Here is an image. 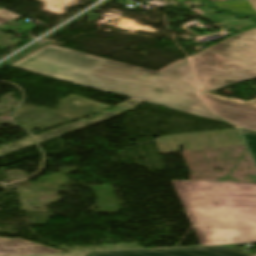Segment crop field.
Listing matches in <instances>:
<instances>
[{"label":"crop field","mask_w":256,"mask_h":256,"mask_svg":"<svg viewBox=\"0 0 256 256\" xmlns=\"http://www.w3.org/2000/svg\"><path fill=\"white\" fill-rule=\"evenodd\" d=\"M11 66L225 122L199 97L187 58L155 72L61 47L46 46Z\"/></svg>","instance_id":"8a807250"},{"label":"crop field","mask_w":256,"mask_h":256,"mask_svg":"<svg viewBox=\"0 0 256 256\" xmlns=\"http://www.w3.org/2000/svg\"><path fill=\"white\" fill-rule=\"evenodd\" d=\"M172 183L203 246L256 243V183Z\"/></svg>","instance_id":"ac0d7876"},{"label":"crop field","mask_w":256,"mask_h":256,"mask_svg":"<svg viewBox=\"0 0 256 256\" xmlns=\"http://www.w3.org/2000/svg\"><path fill=\"white\" fill-rule=\"evenodd\" d=\"M203 98L232 124L256 130V99L243 101L206 93L256 77V30L233 36L190 57ZM214 65H209V62Z\"/></svg>","instance_id":"34b2d1b8"},{"label":"crop field","mask_w":256,"mask_h":256,"mask_svg":"<svg viewBox=\"0 0 256 256\" xmlns=\"http://www.w3.org/2000/svg\"><path fill=\"white\" fill-rule=\"evenodd\" d=\"M84 256H255L219 246L84 252Z\"/></svg>","instance_id":"412701ff"},{"label":"crop field","mask_w":256,"mask_h":256,"mask_svg":"<svg viewBox=\"0 0 256 256\" xmlns=\"http://www.w3.org/2000/svg\"><path fill=\"white\" fill-rule=\"evenodd\" d=\"M53 248L29 242L23 239H9L0 237V256L10 255H27V254H43V253H59Z\"/></svg>","instance_id":"f4fd0767"},{"label":"crop field","mask_w":256,"mask_h":256,"mask_svg":"<svg viewBox=\"0 0 256 256\" xmlns=\"http://www.w3.org/2000/svg\"><path fill=\"white\" fill-rule=\"evenodd\" d=\"M217 7L230 9L236 13L255 15L247 0H231L226 2L214 3Z\"/></svg>","instance_id":"dd49c442"},{"label":"crop field","mask_w":256,"mask_h":256,"mask_svg":"<svg viewBox=\"0 0 256 256\" xmlns=\"http://www.w3.org/2000/svg\"><path fill=\"white\" fill-rule=\"evenodd\" d=\"M241 129V128H240ZM244 138L246 140V143L256 161V132L241 129Z\"/></svg>","instance_id":"e52e79f7"},{"label":"crop field","mask_w":256,"mask_h":256,"mask_svg":"<svg viewBox=\"0 0 256 256\" xmlns=\"http://www.w3.org/2000/svg\"><path fill=\"white\" fill-rule=\"evenodd\" d=\"M20 17L18 15L12 14L10 12H7L3 9H0V23L12 20L14 18Z\"/></svg>","instance_id":"d8731c3e"},{"label":"crop field","mask_w":256,"mask_h":256,"mask_svg":"<svg viewBox=\"0 0 256 256\" xmlns=\"http://www.w3.org/2000/svg\"><path fill=\"white\" fill-rule=\"evenodd\" d=\"M27 256H83V252L59 253V254H43V255H27Z\"/></svg>","instance_id":"5a996713"},{"label":"crop field","mask_w":256,"mask_h":256,"mask_svg":"<svg viewBox=\"0 0 256 256\" xmlns=\"http://www.w3.org/2000/svg\"><path fill=\"white\" fill-rule=\"evenodd\" d=\"M254 11H256V0H248Z\"/></svg>","instance_id":"3316defc"}]
</instances>
